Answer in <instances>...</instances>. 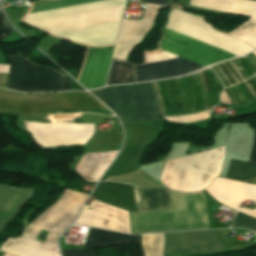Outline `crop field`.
Masks as SVG:
<instances>
[{
    "label": "crop field",
    "mask_w": 256,
    "mask_h": 256,
    "mask_svg": "<svg viewBox=\"0 0 256 256\" xmlns=\"http://www.w3.org/2000/svg\"><path fill=\"white\" fill-rule=\"evenodd\" d=\"M12 31L6 26L3 17L0 12V41L5 38Z\"/></svg>",
    "instance_id": "17"
},
{
    "label": "crop field",
    "mask_w": 256,
    "mask_h": 256,
    "mask_svg": "<svg viewBox=\"0 0 256 256\" xmlns=\"http://www.w3.org/2000/svg\"><path fill=\"white\" fill-rule=\"evenodd\" d=\"M254 177H256V165L233 160L230 161L226 178L245 181Z\"/></svg>",
    "instance_id": "15"
},
{
    "label": "crop field",
    "mask_w": 256,
    "mask_h": 256,
    "mask_svg": "<svg viewBox=\"0 0 256 256\" xmlns=\"http://www.w3.org/2000/svg\"><path fill=\"white\" fill-rule=\"evenodd\" d=\"M30 196L20 189L0 186V232Z\"/></svg>",
    "instance_id": "12"
},
{
    "label": "crop field",
    "mask_w": 256,
    "mask_h": 256,
    "mask_svg": "<svg viewBox=\"0 0 256 256\" xmlns=\"http://www.w3.org/2000/svg\"><path fill=\"white\" fill-rule=\"evenodd\" d=\"M75 223L130 233L127 211L94 200L90 207L84 206Z\"/></svg>",
    "instance_id": "8"
},
{
    "label": "crop field",
    "mask_w": 256,
    "mask_h": 256,
    "mask_svg": "<svg viewBox=\"0 0 256 256\" xmlns=\"http://www.w3.org/2000/svg\"><path fill=\"white\" fill-rule=\"evenodd\" d=\"M159 45L160 49L179 55L203 67L234 57L168 29L165 30ZM167 52L146 56V63L178 57ZM181 57L135 66L136 82L169 78L203 68Z\"/></svg>",
    "instance_id": "2"
},
{
    "label": "crop field",
    "mask_w": 256,
    "mask_h": 256,
    "mask_svg": "<svg viewBox=\"0 0 256 256\" xmlns=\"http://www.w3.org/2000/svg\"><path fill=\"white\" fill-rule=\"evenodd\" d=\"M70 82L57 71L30 63L23 55H9L6 88L22 92L65 91Z\"/></svg>",
    "instance_id": "5"
},
{
    "label": "crop field",
    "mask_w": 256,
    "mask_h": 256,
    "mask_svg": "<svg viewBox=\"0 0 256 256\" xmlns=\"http://www.w3.org/2000/svg\"><path fill=\"white\" fill-rule=\"evenodd\" d=\"M122 243L140 244V236L90 228L85 243V250H61V252L63 256H96L95 249Z\"/></svg>",
    "instance_id": "10"
},
{
    "label": "crop field",
    "mask_w": 256,
    "mask_h": 256,
    "mask_svg": "<svg viewBox=\"0 0 256 256\" xmlns=\"http://www.w3.org/2000/svg\"><path fill=\"white\" fill-rule=\"evenodd\" d=\"M137 211L170 207L167 188L138 189L134 187Z\"/></svg>",
    "instance_id": "13"
},
{
    "label": "crop field",
    "mask_w": 256,
    "mask_h": 256,
    "mask_svg": "<svg viewBox=\"0 0 256 256\" xmlns=\"http://www.w3.org/2000/svg\"><path fill=\"white\" fill-rule=\"evenodd\" d=\"M66 100L32 102L0 99V108L22 111L23 114L71 109H106L89 94L79 92L60 93Z\"/></svg>",
    "instance_id": "6"
},
{
    "label": "crop field",
    "mask_w": 256,
    "mask_h": 256,
    "mask_svg": "<svg viewBox=\"0 0 256 256\" xmlns=\"http://www.w3.org/2000/svg\"><path fill=\"white\" fill-rule=\"evenodd\" d=\"M0 250L14 256H59L56 245L23 238H8Z\"/></svg>",
    "instance_id": "11"
},
{
    "label": "crop field",
    "mask_w": 256,
    "mask_h": 256,
    "mask_svg": "<svg viewBox=\"0 0 256 256\" xmlns=\"http://www.w3.org/2000/svg\"><path fill=\"white\" fill-rule=\"evenodd\" d=\"M4 256H10V255L5 254Z\"/></svg>",
    "instance_id": "20"
},
{
    "label": "crop field",
    "mask_w": 256,
    "mask_h": 256,
    "mask_svg": "<svg viewBox=\"0 0 256 256\" xmlns=\"http://www.w3.org/2000/svg\"><path fill=\"white\" fill-rule=\"evenodd\" d=\"M234 226H241L245 228H249L253 231H256V219L248 217L244 214L237 213L236 219L234 221Z\"/></svg>",
    "instance_id": "16"
},
{
    "label": "crop field",
    "mask_w": 256,
    "mask_h": 256,
    "mask_svg": "<svg viewBox=\"0 0 256 256\" xmlns=\"http://www.w3.org/2000/svg\"><path fill=\"white\" fill-rule=\"evenodd\" d=\"M249 162L256 164V127L254 128V142H253Z\"/></svg>",
    "instance_id": "18"
},
{
    "label": "crop field",
    "mask_w": 256,
    "mask_h": 256,
    "mask_svg": "<svg viewBox=\"0 0 256 256\" xmlns=\"http://www.w3.org/2000/svg\"><path fill=\"white\" fill-rule=\"evenodd\" d=\"M206 191L217 201L235 210L240 202L247 199H252L256 204V185L215 178ZM238 211L256 218V208L250 210L240 207Z\"/></svg>",
    "instance_id": "9"
},
{
    "label": "crop field",
    "mask_w": 256,
    "mask_h": 256,
    "mask_svg": "<svg viewBox=\"0 0 256 256\" xmlns=\"http://www.w3.org/2000/svg\"><path fill=\"white\" fill-rule=\"evenodd\" d=\"M169 0H143L144 3H157L162 5H167Z\"/></svg>",
    "instance_id": "19"
},
{
    "label": "crop field",
    "mask_w": 256,
    "mask_h": 256,
    "mask_svg": "<svg viewBox=\"0 0 256 256\" xmlns=\"http://www.w3.org/2000/svg\"><path fill=\"white\" fill-rule=\"evenodd\" d=\"M124 1L125 0H106L47 11L32 12L28 13L25 20L50 17L116 4H122L124 3ZM118 24L119 22L55 33L54 35L66 37L71 40L93 46L111 45L114 44ZM113 47L114 46L104 48L88 47L84 66L78 79V81L83 84L87 89L100 88L104 85Z\"/></svg>",
    "instance_id": "1"
},
{
    "label": "crop field",
    "mask_w": 256,
    "mask_h": 256,
    "mask_svg": "<svg viewBox=\"0 0 256 256\" xmlns=\"http://www.w3.org/2000/svg\"><path fill=\"white\" fill-rule=\"evenodd\" d=\"M90 92L117 114L122 123L161 119L150 82Z\"/></svg>",
    "instance_id": "4"
},
{
    "label": "crop field",
    "mask_w": 256,
    "mask_h": 256,
    "mask_svg": "<svg viewBox=\"0 0 256 256\" xmlns=\"http://www.w3.org/2000/svg\"><path fill=\"white\" fill-rule=\"evenodd\" d=\"M217 230L164 234V255L226 250Z\"/></svg>",
    "instance_id": "7"
},
{
    "label": "crop field",
    "mask_w": 256,
    "mask_h": 256,
    "mask_svg": "<svg viewBox=\"0 0 256 256\" xmlns=\"http://www.w3.org/2000/svg\"><path fill=\"white\" fill-rule=\"evenodd\" d=\"M171 208L129 213L131 233L207 229L204 195L169 190Z\"/></svg>",
    "instance_id": "3"
},
{
    "label": "crop field",
    "mask_w": 256,
    "mask_h": 256,
    "mask_svg": "<svg viewBox=\"0 0 256 256\" xmlns=\"http://www.w3.org/2000/svg\"><path fill=\"white\" fill-rule=\"evenodd\" d=\"M135 82L134 69L124 61L114 59L109 72L107 85Z\"/></svg>",
    "instance_id": "14"
}]
</instances>
